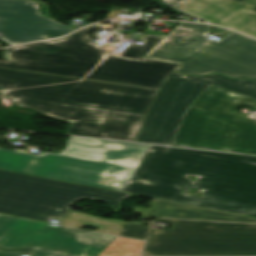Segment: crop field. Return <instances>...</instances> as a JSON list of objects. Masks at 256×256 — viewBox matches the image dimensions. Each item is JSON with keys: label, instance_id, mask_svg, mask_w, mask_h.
I'll use <instances>...</instances> for the list:
<instances>
[{"label": "crop field", "instance_id": "obj_1", "mask_svg": "<svg viewBox=\"0 0 256 256\" xmlns=\"http://www.w3.org/2000/svg\"><path fill=\"white\" fill-rule=\"evenodd\" d=\"M92 25L66 38L6 49L0 62L4 97L47 116L73 122L70 135L133 141L157 92L179 64L142 58L165 36L131 35L120 57L99 46Z\"/></svg>", "mask_w": 256, "mask_h": 256}, {"label": "crop field", "instance_id": "obj_2", "mask_svg": "<svg viewBox=\"0 0 256 256\" xmlns=\"http://www.w3.org/2000/svg\"><path fill=\"white\" fill-rule=\"evenodd\" d=\"M123 192L256 218V157L150 146Z\"/></svg>", "mask_w": 256, "mask_h": 256}, {"label": "crop field", "instance_id": "obj_3", "mask_svg": "<svg viewBox=\"0 0 256 256\" xmlns=\"http://www.w3.org/2000/svg\"><path fill=\"white\" fill-rule=\"evenodd\" d=\"M149 146L71 137L59 154L0 149V169L121 191Z\"/></svg>", "mask_w": 256, "mask_h": 256}, {"label": "crop field", "instance_id": "obj_4", "mask_svg": "<svg viewBox=\"0 0 256 256\" xmlns=\"http://www.w3.org/2000/svg\"><path fill=\"white\" fill-rule=\"evenodd\" d=\"M238 106L256 108V100L210 84L189 106L172 145L256 154V120Z\"/></svg>", "mask_w": 256, "mask_h": 256}, {"label": "crop field", "instance_id": "obj_5", "mask_svg": "<svg viewBox=\"0 0 256 256\" xmlns=\"http://www.w3.org/2000/svg\"><path fill=\"white\" fill-rule=\"evenodd\" d=\"M208 27L180 23L144 57L179 62L175 71L189 75L219 72L231 78H256V40L236 32L220 41L208 40Z\"/></svg>", "mask_w": 256, "mask_h": 256}, {"label": "crop field", "instance_id": "obj_6", "mask_svg": "<svg viewBox=\"0 0 256 256\" xmlns=\"http://www.w3.org/2000/svg\"><path fill=\"white\" fill-rule=\"evenodd\" d=\"M115 191L0 170V212L47 221L61 219L81 198L104 201L116 212L129 197Z\"/></svg>", "mask_w": 256, "mask_h": 256}, {"label": "crop field", "instance_id": "obj_7", "mask_svg": "<svg viewBox=\"0 0 256 256\" xmlns=\"http://www.w3.org/2000/svg\"><path fill=\"white\" fill-rule=\"evenodd\" d=\"M172 224L151 230L142 256H256V225L156 219Z\"/></svg>", "mask_w": 256, "mask_h": 256}, {"label": "crop field", "instance_id": "obj_8", "mask_svg": "<svg viewBox=\"0 0 256 256\" xmlns=\"http://www.w3.org/2000/svg\"><path fill=\"white\" fill-rule=\"evenodd\" d=\"M256 99V81L218 74L187 77L172 73L163 83L134 141L170 145L187 107L209 84Z\"/></svg>", "mask_w": 256, "mask_h": 256}, {"label": "crop field", "instance_id": "obj_9", "mask_svg": "<svg viewBox=\"0 0 256 256\" xmlns=\"http://www.w3.org/2000/svg\"><path fill=\"white\" fill-rule=\"evenodd\" d=\"M115 239L0 214V247L5 249L40 245L67 249L69 256H98Z\"/></svg>", "mask_w": 256, "mask_h": 256}, {"label": "crop field", "instance_id": "obj_10", "mask_svg": "<svg viewBox=\"0 0 256 256\" xmlns=\"http://www.w3.org/2000/svg\"><path fill=\"white\" fill-rule=\"evenodd\" d=\"M74 29L40 15L37 4L26 0H0V39L14 45L60 37Z\"/></svg>", "mask_w": 256, "mask_h": 256}, {"label": "crop field", "instance_id": "obj_11", "mask_svg": "<svg viewBox=\"0 0 256 256\" xmlns=\"http://www.w3.org/2000/svg\"><path fill=\"white\" fill-rule=\"evenodd\" d=\"M248 6H251L250 8ZM256 0H189L177 9L208 22L256 37Z\"/></svg>", "mask_w": 256, "mask_h": 256}, {"label": "crop field", "instance_id": "obj_12", "mask_svg": "<svg viewBox=\"0 0 256 256\" xmlns=\"http://www.w3.org/2000/svg\"><path fill=\"white\" fill-rule=\"evenodd\" d=\"M151 209L136 207L135 213L146 217H173L201 220H215L228 222L256 223V219L236 216L190 205L153 199Z\"/></svg>", "mask_w": 256, "mask_h": 256}, {"label": "crop field", "instance_id": "obj_13", "mask_svg": "<svg viewBox=\"0 0 256 256\" xmlns=\"http://www.w3.org/2000/svg\"><path fill=\"white\" fill-rule=\"evenodd\" d=\"M79 223H84L83 225L96 227L98 228L96 230L97 232L115 235H119L125 224L122 221L92 217L80 212L70 213L61 224L80 228L83 225H80Z\"/></svg>", "mask_w": 256, "mask_h": 256}, {"label": "crop field", "instance_id": "obj_14", "mask_svg": "<svg viewBox=\"0 0 256 256\" xmlns=\"http://www.w3.org/2000/svg\"><path fill=\"white\" fill-rule=\"evenodd\" d=\"M144 241L117 237L99 256H139Z\"/></svg>", "mask_w": 256, "mask_h": 256}, {"label": "crop field", "instance_id": "obj_15", "mask_svg": "<svg viewBox=\"0 0 256 256\" xmlns=\"http://www.w3.org/2000/svg\"><path fill=\"white\" fill-rule=\"evenodd\" d=\"M20 254H30L31 256H66L64 251L46 248H27L15 251L0 250V256H20Z\"/></svg>", "mask_w": 256, "mask_h": 256}, {"label": "crop field", "instance_id": "obj_16", "mask_svg": "<svg viewBox=\"0 0 256 256\" xmlns=\"http://www.w3.org/2000/svg\"><path fill=\"white\" fill-rule=\"evenodd\" d=\"M149 227L126 222L120 236L146 240Z\"/></svg>", "mask_w": 256, "mask_h": 256}, {"label": "crop field", "instance_id": "obj_17", "mask_svg": "<svg viewBox=\"0 0 256 256\" xmlns=\"http://www.w3.org/2000/svg\"><path fill=\"white\" fill-rule=\"evenodd\" d=\"M164 1L168 2L173 7H176L180 4H182L183 2H185L186 0H164Z\"/></svg>", "mask_w": 256, "mask_h": 256}, {"label": "crop field", "instance_id": "obj_18", "mask_svg": "<svg viewBox=\"0 0 256 256\" xmlns=\"http://www.w3.org/2000/svg\"><path fill=\"white\" fill-rule=\"evenodd\" d=\"M237 1L241 2V1H243V0H237Z\"/></svg>", "mask_w": 256, "mask_h": 256}]
</instances>
